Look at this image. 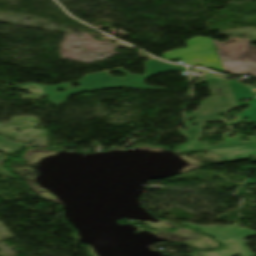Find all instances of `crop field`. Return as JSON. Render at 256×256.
<instances>
[{
  "label": "crop field",
  "mask_w": 256,
  "mask_h": 256,
  "mask_svg": "<svg viewBox=\"0 0 256 256\" xmlns=\"http://www.w3.org/2000/svg\"><path fill=\"white\" fill-rule=\"evenodd\" d=\"M209 151L224 157L228 161H238L240 159H247V155L256 156V144L210 149ZM203 152L207 153L206 155L216 159L219 162H226L221 157L213 153H210L207 151H203Z\"/></svg>",
  "instance_id": "dd49c442"
},
{
  "label": "crop field",
  "mask_w": 256,
  "mask_h": 256,
  "mask_svg": "<svg viewBox=\"0 0 256 256\" xmlns=\"http://www.w3.org/2000/svg\"><path fill=\"white\" fill-rule=\"evenodd\" d=\"M186 44L188 45L187 48L163 53L162 58L166 60L181 59L183 64H202L223 72L220 60L214 50L210 38L195 37L186 41Z\"/></svg>",
  "instance_id": "412701ff"
},
{
  "label": "crop field",
  "mask_w": 256,
  "mask_h": 256,
  "mask_svg": "<svg viewBox=\"0 0 256 256\" xmlns=\"http://www.w3.org/2000/svg\"><path fill=\"white\" fill-rule=\"evenodd\" d=\"M146 68V75L145 76H139V75H131L124 71L123 69L119 70H113V71H107L102 73H95L86 76L83 78L80 82L81 88L74 89L69 86V84H60L58 87H45V92L47 96H49V102L53 105H60L63 102H65L67 96L69 94L79 92V91H87L99 87H125V88H139V89H148V90H165L162 88H148L144 85L143 80L148 78L149 76L153 74H157L160 72H168V71H185L183 67H176L172 64H166L161 63L157 60H148L147 63L144 64ZM119 71L121 73H124L127 75V78L125 79H117V78H111L109 76L110 73ZM76 83V82H73ZM64 88L68 91L57 94L55 92L56 89Z\"/></svg>",
  "instance_id": "8a807250"
},
{
  "label": "crop field",
  "mask_w": 256,
  "mask_h": 256,
  "mask_svg": "<svg viewBox=\"0 0 256 256\" xmlns=\"http://www.w3.org/2000/svg\"><path fill=\"white\" fill-rule=\"evenodd\" d=\"M186 227L192 229H198L202 233L215 237L226 247L212 253L200 252L203 256H255L256 254L250 249L246 248L247 244L244 241L246 236H256V231L250 229L240 228L237 225L227 228H218L217 226L212 227H199L193 224H186Z\"/></svg>",
  "instance_id": "34b2d1b8"
},
{
  "label": "crop field",
  "mask_w": 256,
  "mask_h": 256,
  "mask_svg": "<svg viewBox=\"0 0 256 256\" xmlns=\"http://www.w3.org/2000/svg\"><path fill=\"white\" fill-rule=\"evenodd\" d=\"M205 75L206 77L204 79L196 83L201 81L208 82L213 98L209 101H203L199 112H193L191 115H187L188 119L185 123L187 130H179V133L188 139L201 137L199 133L202 131L205 123L210 121H223L228 127L244 123L242 115L236 116L235 118L237 120L230 123L224 121V118L218 117L220 113L227 114L228 111L237 108V105L225 77L214 76L210 73H206ZM190 118H196L199 127H189L188 120Z\"/></svg>",
  "instance_id": "ac0d7876"
},
{
  "label": "crop field",
  "mask_w": 256,
  "mask_h": 256,
  "mask_svg": "<svg viewBox=\"0 0 256 256\" xmlns=\"http://www.w3.org/2000/svg\"><path fill=\"white\" fill-rule=\"evenodd\" d=\"M225 142L222 145H216V146H209L208 143H199L198 140H193L188 143H185L178 148H181L180 151H189V150H198V149H207V148H215V147H222V146H230V145H237V144H244L239 143L242 139V136L234 137V138H228L227 135H224ZM255 138H250L252 143L255 142Z\"/></svg>",
  "instance_id": "e52e79f7"
},
{
  "label": "crop field",
  "mask_w": 256,
  "mask_h": 256,
  "mask_svg": "<svg viewBox=\"0 0 256 256\" xmlns=\"http://www.w3.org/2000/svg\"><path fill=\"white\" fill-rule=\"evenodd\" d=\"M229 83H230V86H231V89H232V92H233V95L235 97L237 105L238 106L245 105V104L250 105V108L243 111V112H246V111H249V110H252V109L256 108V98L252 99V101L250 103H241V102H239V99H241V98H245V97L251 98V97H253V94H252L251 90L247 86H245L243 84H240V83H236V82H229Z\"/></svg>",
  "instance_id": "d8731c3e"
},
{
  "label": "crop field",
  "mask_w": 256,
  "mask_h": 256,
  "mask_svg": "<svg viewBox=\"0 0 256 256\" xmlns=\"http://www.w3.org/2000/svg\"><path fill=\"white\" fill-rule=\"evenodd\" d=\"M233 41H251V40H242V39H239V38H230L229 40H227V41H225V42H223V43H221V44H219L217 41H215V40H213L212 42H213V44L214 45H218V47H216V48H219V50H220V48L223 46V45H225V44H227V43H230V42H233ZM219 50L217 51V53H218V56H219V58H220V55H219ZM220 60H221V58H220ZM222 61V60H221Z\"/></svg>",
  "instance_id": "3316defc"
},
{
  "label": "crop field",
  "mask_w": 256,
  "mask_h": 256,
  "mask_svg": "<svg viewBox=\"0 0 256 256\" xmlns=\"http://www.w3.org/2000/svg\"><path fill=\"white\" fill-rule=\"evenodd\" d=\"M25 144L21 143H12L2 136H0V150H4L5 152L11 153L15 152L19 147L23 146Z\"/></svg>",
  "instance_id": "5a996713"
},
{
  "label": "crop field",
  "mask_w": 256,
  "mask_h": 256,
  "mask_svg": "<svg viewBox=\"0 0 256 256\" xmlns=\"http://www.w3.org/2000/svg\"><path fill=\"white\" fill-rule=\"evenodd\" d=\"M250 43H231L220 51L224 71L230 73L252 74L256 76V46Z\"/></svg>",
  "instance_id": "f4fd0767"
},
{
  "label": "crop field",
  "mask_w": 256,
  "mask_h": 256,
  "mask_svg": "<svg viewBox=\"0 0 256 256\" xmlns=\"http://www.w3.org/2000/svg\"><path fill=\"white\" fill-rule=\"evenodd\" d=\"M243 116L249 119L246 123L256 122V110L246 112L243 114Z\"/></svg>",
  "instance_id": "28ad6ade"
}]
</instances>
